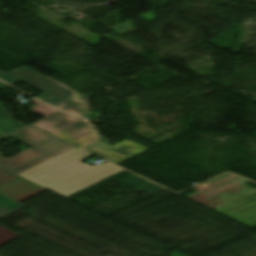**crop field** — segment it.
Returning <instances> with one entry per match:
<instances>
[{"mask_svg":"<svg viewBox=\"0 0 256 256\" xmlns=\"http://www.w3.org/2000/svg\"><path fill=\"white\" fill-rule=\"evenodd\" d=\"M8 137L31 149L7 160L0 156V167L65 197L124 171L108 162L83 164L93 155L32 125L0 141Z\"/></svg>","mask_w":256,"mask_h":256,"instance_id":"1","label":"crop field"},{"mask_svg":"<svg viewBox=\"0 0 256 256\" xmlns=\"http://www.w3.org/2000/svg\"><path fill=\"white\" fill-rule=\"evenodd\" d=\"M245 181L227 173L198 186V192L186 197L255 228L256 195L244 186Z\"/></svg>","mask_w":256,"mask_h":256,"instance_id":"2","label":"crop field"},{"mask_svg":"<svg viewBox=\"0 0 256 256\" xmlns=\"http://www.w3.org/2000/svg\"><path fill=\"white\" fill-rule=\"evenodd\" d=\"M79 147L96 139L86 120L59 111L32 124Z\"/></svg>","mask_w":256,"mask_h":256,"instance_id":"3","label":"crop field"},{"mask_svg":"<svg viewBox=\"0 0 256 256\" xmlns=\"http://www.w3.org/2000/svg\"><path fill=\"white\" fill-rule=\"evenodd\" d=\"M37 73L28 67H23L7 74L0 72V78L10 84L23 80L24 83L46 93L38 99L47 101L51 105L55 104L60 109L74 103L71 96L74 93L64 89L65 87L59 86L41 74L37 75Z\"/></svg>","mask_w":256,"mask_h":256,"instance_id":"4","label":"crop field"},{"mask_svg":"<svg viewBox=\"0 0 256 256\" xmlns=\"http://www.w3.org/2000/svg\"><path fill=\"white\" fill-rule=\"evenodd\" d=\"M84 150L119 164L139 153L146 151L147 149L143 146L124 140L112 146L98 141L84 148Z\"/></svg>","mask_w":256,"mask_h":256,"instance_id":"5","label":"crop field"},{"mask_svg":"<svg viewBox=\"0 0 256 256\" xmlns=\"http://www.w3.org/2000/svg\"><path fill=\"white\" fill-rule=\"evenodd\" d=\"M12 181L8 184L6 182ZM22 182V183H19ZM9 187H12L9 189ZM42 187L22 179L14 174L0 169V194L14 201L40 189ZM7 189L4 192L3 190Z\"/></svg>","mask_w":256,"mask_h":256,"instance_id":"6","label":"crop field"},{"mask_svg":"<svg viewBox=\"0 0 256 256\" xmlns=\"http://www.w3.org/2000/svg\"><path fill=\"white\" fill-rule=\"evenodd\" d=\"M10 87L9 85L0 81V89ZM4 105L0 103V129L11 134L17 130H20L26 126L16 122L11 118L7 111L3 109Z\"/></svg>","mask_w":256,"mask_h":256,"instance_id":"7","label":"crop field"},{"mask_svg":"<svg viewBox=\"0 0 256 256\" xmlns=\"http://www.w3.org/2000/svg\"><path fill=\"white\" fill-rule=\"evenodd\" d=\"M25 206L9 200L0 195V218H4L5 216L23 208Z\"/></svg>","mask_w":256,"mask_h":256,"instance_id":"8","label":"crop field"},{"mask_svg":"<svg viewBox=\"0 0 256 256\" xmlns=\"http://www.w3.org/2000/svg\"><path fill=\"white\" fill-rule=\"evenodd\" d=\"M32 101L38 104L37 107L32 108V111H35V112L41 114L44 117L59 111V110H57V109H55V108H53V107H51V106L41 102V101H38L36 99H34Z\"/></svg>","mask_w":256,"mask_h":256,"instance_id":"9","label":"crop field"},{"mask_svg":"<svg viewBox=\"0 0 256 256\" xmlns=\"http://www.w3.org/2000/svg\"><path fill=\"white\" fill-rule=\"evenodd\" d=\"M64 111L70 113V114H73V115H76V116H80V117H84V118H88L86 116V113L83 109V105L82 104H73L65 109H63Z\"/></svg>","mask_w":256,"mask_h":256,"instance_id":"10","label":"crop field"},{"mask_svg":"<svg viewBox=\"0 0 256 256\" xmlns=\"http://www.w3.org/2000/svg\"><path fill=\"white\" fill-rule=\"evenodd\" d=\"M18 235H20V234L15 233L11 230H8V229L0 226V244L18 236Z\"/></svg>","mask_w":256,"mask_h":256,"instance_id":"11","label":"crop field"},{"mask_svg":"<svg viewBox=\"0 0 256 256\" xmlns=\"http://www.w3.org/2000/svg\"><path fill=\"white\" fill-rule=\"evenodd\" d=\"M6 135H8V134L0 130V137H1V138L4 137V136H6Z\"/></svg>","mask_w":256,"mask_h":256,"instance_id":"12","label":"crop field"}]
</instances>
